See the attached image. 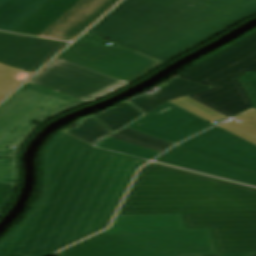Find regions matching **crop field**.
Returning a JSON list of instances; mask_svg holds the SVG:
<instances>
[{
	"instance_id": "8a807250",
	"label": "crop field",
	"mask_w": 256,
	"mask_h": 256,
	"mask_svg": "<svg viewBox=\"0 0 256 256\" xmlns=\"http://www.w3.org/2000/svg\"><path fill=\"white\" fill-rule=\"evenodd\" d=\"M90 146L59 132L45 147L40 197L0 240V256H48L109 225L147 161Z\"/></svg>"
},
{
	"instance_id": "ac0d7876",
	"label": "crop field",
	"mask_w": 256,
	"mask_h": 256,
	"mask_svg": "<svg viewBox=\"0 0 256 256\" xmlns=\"http://www.w3.org/2000/svg\"><path fill=\"white\" fill-rule=\"evenodd\" d=\"M255 13L256 0H125L89 32L165 63Z\"/></svg>"
},
{
	"instance_id": "34b2d1b8",
	"label": "crop field",
	"mask_w": 256,
	"mask_h": 256,
	"mask_svg": "<svg viewBox=\"0 0 256 256\" xmlns=\"http://www.w3.org/2000/svg\"><path fill=\"white\" fill-rule=\"evenodd\" d=\"M256 212V189L151 163L118 214Z\"/></svg>"
},
{
	"instance_id": "412701ff",
	"label": "crop field",
	"mask_w": 256,
	"mask_h": 256,
	"mask_svg": "<svg viewBox=\"0 0 256 256\" xmlns=\"http://www.w3.org/2000/svg\"><path fill=\"white\" fill-rule=\"evenodd\" d=\"M256 71V32L177 74L216 88L189 98L230 118L255 106L239 78Z\"/></svg>"
},
{
	"instance_id": "f4fd0767",
	"label": "crop field",
	"mask_w": 256,
	"mask_h": 256,
	"mask_svg": "<svg viewBox=\"0 0 256 256\" xmlns=\"http://www.w3.org/2000/svg\"><path fill=\"white\" fill-rule=\"evenodd\" d=\"M105 232L169 256L217 254L210 229L185 230L181 214L117 215Z\"/></svg>"
},
{
	"instance_id": "dd49c442",
	"label": "crop field",
	"mask_w": 256,
	"mask_h": 256,
	"mask_svg": "<svg viewBox=\"0 0 256 256\" xmlns=\"http://www.w3.org/2000/svg\"><path fill=\"white\" fill-rule=\"evenodd\" d=\"M88 102L37 85L25 84L0 106V157H17L18 149L51 117ZM9 146L14 149H7Z\"/></svg>"
},
{
	"instance_id": "e52e79f7",
	"label": "crop field",
	"mask_w": 256,
	"mask_h": 256,
	"mask_svg": "<svg viewBox=\"0 0 256 256\" xmlns=\"http://www.w3.org/2000/svg\"><path fill=\"white\" fill-rule=\"evenodd\" d=\"M109 42L87 32L57 57L129 83L163 64Z\"/></svg>"
},
{
	"instance_id": "d8731c3e",
	"label": "crop field",
	"mask_w": 256,
	"mask_h": 256,
	"mask_svg": "<svg viewBox=\"0 0 256 256\" xmlns=\"http://www.w3.org/2000/svg\"><path fill=\"white\" fill-rule=\"evenodd\" d=\"M29 83L91 102L129 84L56 58Z\"/></svg>"
},
{
	"instance_id": "5a996713",
	"label": "crop field",
	"mask_w": 256,
	"mask_h": 256,
	"mask_svg": "<svg viewBox=\"0 0 256 256\" xmlns=\"http://www.w3.org/2000/svg\"><path fill=\"white\" fill-rule=\"evenodd\" d=\"M182 215L186 229L210 227L218 254L256 252V213Z\"/></svg>"
},
{
	"instance_id": "3316defc",
	"label": "crop field",
	"mask_w": 256,
	"mask_h": 256,
	"mask_svg": "<svg viewBox=\"0 0 256 256\" xmlns=\"http://www.w3.org/2000/svg\"><path fill=\"white\" fill-rule=\"evenodd\" d=\"M211 125L213 124L168 102L128 128L175 144Z\"/></svg>"
},
{
	"instance_id": "28ad6ade",
	"label": "crop field",
	"mask_w": 256,
	"mask_h": 256,
	"mask_svg": "<svg viewBox=\"0 0 256 256\" xmlns=\"http://www.w3.org/2000/svg\"><path fill=\"white\" fill-rule=\"evenodd\" d=\"M179 146L256 172V145L216 126Z\"/></svg>"
},
{
	"instance_id": "d1516ede",
	"label": "crop field",
	"mask_w": 256,
	"mask_h": 256,
	"mask_svg": "<svg viewBox=\"0 0 256 256\" xmlns=\"http://www.w3.org/2000/svg\"><path fill=\"white\" fill-rule=\"evenodd\" d=\"M67 45L0 33V62L35 73Z\"/></svg>"
},
{
	"instance_id": "22f410ed",
	"label": "crop field",
	"mask_w": 256,
	"mask_h": 256,
	"mask_svg": "<svg viewBox=\"0 0 256 256\" xmlns=\"http://www.w3.org/2000/svg\"><path fill=\"white\" fill-rule=\"evenodd\" d=\"M155 161L256 186L255 172L179 146Z\"/></svg>"
},
{
	"instance_id": "cbeb9de0",
	"label": "crop field",
	"mask_w": 256,
	"mask_h": 256,
	"mask_svg": "<svg viewBox=\"0 0 256 256\" xmlns=\"http://www.w3.org/2000/svg\"><path fill=\"white\" fill-rule=\"evenodd\" d=\"M118 1L120 0H83L40 36L73 40L93 25Z\"/></svg>"
},
{
	"instance_id": "5142ce71",
	"label": "crop field",
	"mask_w": 256,
	"mask_h": 256,
	"mask_svg": "<svg viewBox=\"0 0 256 256\" xmlns=\"http://www.w3.org/2000/svg\"><path fill=\"white\" fill-rule=\"evenodd\" d=\"M58 256H167L105 232L77 243Z\"/></svg>"
},
{
	"instance_id": "d9b57169",
	"label": "crop field",
	"mask_w": 256,
	"mask_h": 256,
	"mask_svg": "<svg viewBox=\"0 0 256 256\" xmlns=\"http://www.w3.org/2000/svg\"><path fill=\"white\" fill-rule=\"evenodd\" d=\"M82 0H50L12 32L39 36Z\"/></svg>"
},
{
	"instance_id": "733c2abd",
	"label": "crop field",
	"mask_w": 256,
	"mask_h": 256,
	"mask_svg": "<svg viewBox=\"0 0 256 256\" xmlns=\"http://www.w3.org/2000/svg\"><path fill=\"white\" fill-rule=\"evenodd\" d=\"M48 0H0V29L12 31Z\"/></svg>"
},
{
	"instance_id": "4a817a6b",
	"label": "crop field",
	"mask_w": 256,
	"mask_h": 256,
	"mask_svg": "<svg viewBox=\"0 0 256 256\" xmlns=\"http://www.w3.org/2000/svg\"><path fill=\"white\" fill-rule=\"evenodd\" d=\"M75 123H77L78 126L73 129L65 130L66 133L91 145L113 133L91 116L82 118Z\"/></svg>"
},
{
	"instance_id": "bc2a9ffb",
	"label": "crop field",
	"mask_w": 256,
	"mask_h": 256,
	"mask_svg": "<svg viewBox=\"0 0 256 256\" xmlns=\"http://www.w3.org/2000/svg\"><path fill=\"white\" fill-rule=\"evenodd\" d=\"M111 138L121 140L159 153L163 152L164 150L173 145L128 128L122 130L116 135L111 136Z\"/></svg>"
},
{
	"instance_id": "214f88e0",
	"label": "crop field",
	"mask_w": 256,
	"mask_h": 256,
	"mask_svg": "<svg viewBox=\"0 0 256 256\" xmlns=\"http://www.w3.org/2000/svg\"><path fill=\"white\" fill-rule=\"evenodd\" d=\"M31 75L32 73L0 64V101Z\"/></svg>"
},
{
	"instance_id": "92a150f3",
	"label": "crop field",
	"mask_w": 256,
	"mask_h": 256,
	"mask_svg": "<svg viewBox=\"0 0 256 256\" xmlns=\"http://www.w3.org/2000/svg\"><path fill=\"white\" fill-rule=\"evenodd\" d=\"M96 146L107 148V149L114 150L121 153H125L128 155L148 159V160H151L154 157L159 155V153L149 151V150H146L137 146H133L121 141H117L111 138L104 140L103 142H101Z\"/></svg>"
},
{
	"instance_id": "dafd665d",
	"label": "crop field",
	"mask_w": 256,
	"mask_h": 256,
	"mask_svg": "<svg viewBox=\"0 0 256 256\" xmlns=\"http://www.w3.org/2000/svg\"><path fill=\"white\" fill-rule=\"evenodd\" d=\"M242 121L241 123L237 122ZM254 137H256V108L226 122Z\"/></svg>"
},
{
	"instance_id": "00972430",
	"label": "crop field",
	"mask_w": 256,
	"mask_h": 256,
	"mask_svg": "<svg viewBox=\"0 0 256 256\" xmlns=\"http://www.w3.org/2000/svg\"><path fill=\"white\" fill-rule=\"evenodd\" d=\"M130 102L143 110L146 114L165 104L166 100L161 99L152 94H144L136 98L130 99Z\"/></svg>"
},
{
	"instance_id": "a9b5d70f",
	"label": "crop field",
	"mask_w": 256,
	"mask_h": 256,
	"mask_svg": "<svg viewBox=\"0 0 256 256\" xmlns=\"http://www.w3.org/2000/svg\"><path fill=\"white\" fill-rule=\"evenodd\" d=\"M17 160L0 159V182L16 184Z\"/></svg>"
},
{
	"instance_id": "4177f3b9",
	"label": "crop field",
	"mask_w": 256,
	"mask_h": 256,
	"mask_svg": "<svg viewBox=\"0 0 256 256\" xmlns=\"http://www.w3.org/2000/svg\"><path fill=\"white\" fill-rule=\"evenodd\" d=\"M114 132L127 125L112 109H108L94 117Z\"/></svg>"
},
{
	"instance_id": "730fd06b",
	"label": "crop field",
	"mask_w": 256,
	"mask_h": 256,
	"mask_svg": "<svg viewBox=\"0 0 256 256\" xmlns=\"http://www.w3.org/2000/svg\"><path fill=\"white\" fill-rule=\"evenodd\" d=\"M164 83H168V85L195 91V92H200V91H204V90H207L210 88H214V87H210V86H207L204 84H200V83L186 80V79L176 77V76L172 77L171 79H169L168 81H166ZM164 83H162V84H164Z\"/></svg>"
},
{
	"instance_id": "eef30255",
	"label": "crop field",
	"mask_w": 256,
	"mask_h": 256,
	"mask_svg": "<svg viewBox=\"0 0 256 256\" xmlns=\"http://www.w3.org/2000/svg\"><path fill=\"white\" fill-rule=\"evenodd\" d=\"M113 110L128 124L135 120L139 116L143 115L130 103L123 105L121 107H115Z\"/></svg>"
},
{
	"instance_id": "ae1a2a85",
	"label": "crop field",
	"mask_w": 256,
	"mask_h": 256,
	"mask_svg": "<svg viewBox=\"0 0 256 256\" xmlns=\"http://www.w3.org/2000/svg\"><path fill=\"white\" fill-rule=\"evenodd\" d=\"M16 185L0 183V213L9 202Z\"/></svg>"
},
{
	"instance_id": "d3111659",
	"label": "crop field",
	"mask_w": 256,
	"mask_h": 256,
	"mask_svg": "<svg viewBox=\"0 0 256 256\" xmlns=\"http://www.w3.org/2000/svg\"><path fill=\"white\" fill-rule=\"evenodd\" d=\"M242 81L256 102V72H249Z\"/></svg>"
},
{
	"instance_id": "750c4746",
	"label": "crop field",
	"mask_w": 256,
	"mask_h": 256,
	"mask_svg": "<svg viewBox=\"0 0 256 256\" xmlns=\"http://www.w3.org/2000/svg\"><path fill=\"white\" fill-rule=\"evenodd\" d=\"M171 102L180 106V107H182V108H184V109H186V110H188V111H190V112H192V113H194V114H196V115H198V116H200V117H202V118H204V119H206V120H208V121H210V122H213V121L217 120L216 118H214V117H212V116H210V115H208V114H206V113H204V112H202V111H200V110H198V109H196V108H194V107H192V106H190V105H188V104H186V103H184V102H182L178 99H176L174 101H171Z\"/></svg>"
},
{
	"instance_id": "bd1437ed",
	"label": "crop field",
	"mask_w": 256,
	"mask_h": 256,
	"mask_svg": "<svg viewBox=\"0 0 256 256\" xmlns=\"http://www.w3.org/2000/svg\"><path fill=\"white\" fill-rule=\"evenodd\" d=\"M180 100H182V101H184V102H186V103H188V104H190V105H192V106H194V107H196V108H198V109H200V110H202V111H204V112H206V113H208V114H210V115H212V116H214L218 119L224 117L223 115H221V114H219V113H217V112H215V111H213V110H211V109H209V108H207V107H205V106H203V105H201V104H199V103H197V102H195V101H193V100H191L187 97L180 98Z\"/></svg>"
},
{
	"instance_id": "1d83c4d3",
	"label": "crop field",
	"mask_w": 256,
	"mask_h": 256,
	"mask_svg": "<svg viewBox=\"0 0 256 256\" xmlns=\"http://www.w3.org/2000/svg\"><path fill=\"white\" fill-rule=\"evenodd\" d=\"M219 126H221V127L225 128V129H227V130H229V131H231V132H233V133H235V134H237V135H239V136H241V137H243V138L253 142L254 144H256V139L255 138H253V137H251V136H249V135H247V134H245V133H243V132H241V131H239V130H237V129H235V128H233V127H231V126H229V125H227L225 123H223V124H221Z\"/></svg>"
},
{
	"instance_id": "120bbe31",
	"label": "crop field",
	"mask_w": 256,
	"mask_h": 256,
	"mask_svg": "<svg viewBox=\"0 0 256 256\" xmlns=\"http://www.w3.org/2000/svg\"><path fill=\"white\" fill-rule=\"evenodd\" d=\"M227 256H252V253H246V254H234V255H227Z\"/></svg>"
},
{
	"instance_id": "d32e631a",
	"label": "crop field",
	"mask_w": 256,
	"mask_h": 256,
	"mask_svg": "<svg viewBox=\"0 0 256 256\" xmlns=\"http://www.w3.org/2000/svg\"><path fill=\"white\" fill-rule=\"evenodd\" d=\"M219 256H224V255H219Z\"/></svg>"
}]
</instances>
